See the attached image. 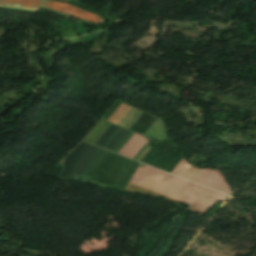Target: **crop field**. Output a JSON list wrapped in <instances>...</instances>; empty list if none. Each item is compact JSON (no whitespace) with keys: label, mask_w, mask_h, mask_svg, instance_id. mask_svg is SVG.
<instances>
[{"label":"crop field","mask_w":256,"mask_h":256,"mask_svg":"<svg viewBox=\"0 0 256 256\" xmlns=\"http://www.w3.org/2000/svg\"><path fill=\"white\" fill-rule=\"evenodd\" d=\"M130 162L131 159L82 142L60 162L64 166L60 177L83 176L92 183L111 187L120 170H127ZM137 165L132 160L127 171L121 170L112 188L124 190Z\"/></svg>","instance_id":"crop-field-1"},{"label":"crop field","mask_w":256,"mask_h":256,"mask_svg":"<svg viewBox=\"0 0 256 256\" xmlns=\"http://www.w3.org/2000/svg\"><path fill=\"white\" fill-rule=\"evenodd\" d=\"M126 190L163 197L177 204L186 202L190 204L187 209L203 216L217 200L224 202L227 197L146 165L138 167Z\"/></svg>","instance_id":"crop-field-2"},{"label":"crop field","mask_w":256,"mask_h":256,"mask_svg":"<svg viewBox=\"0 0 256 256\" xmlns=\"http://www.w3.org/2000/svg\"><path fill=\"white\" fill-rule=\"evenodd\" d=\"M155 119L156 117L143 112L132 125L130 130L143 135ZM130 133L131 131L129 130L111 124L96 141L95 145L115 152ZM147 144L139 151L134 160L137 159ZM182 157L181 153L176 149L171 141L164 138L155 143L143 156L140 162L170 173Z\"/></svg>","instance_id":"crop-field-3"},{"label":"crop field","mask_w":256,"mask_h":256,"mask_svg":"<svg viewBox=\"0 0 256 256\" xmlns=\"http://www.w3.org/2000/svg\"><path fill=\"white\" fill-rule=\"evenodd\" d=\"M0 5L32 7V8H37L38 6H41L44 8L57 10L60 12H64V13L82 18L88 22H92L96 24L103 23V19L101 17L91 12L78 9L68 4L57 3L52 0H0ZM8 6H0V7H8ZM20 7H9V8L27 9V10H35V11H39L40 9V7L38 9L20 8Z\"/></svg>","instance_id":"crop-field-4"},{"label":"crop field","mask_w":256,"mask_h":256,"mask_svg":"<svg viewBox=\"0 0 256 256\" xmlns=\"http://www.w3.org/2000/svg\"><path fill=\"white\" fill-rule=\"evenodd\" d=\"M185 179L203 184L227 195L231 192L220 172L213 169H197L188 165L184 158L172 172Z\"/></svg>","instance_id":"crop-field-5"},{"label":"crop field","mask_w":256,"mask_h":256,"mask_svg":"<svg viewBox=\"0 0 256 256\" xmlns=\"http://www.w3.org/2000/svg\"><path fill=\"white\" fill-rule=\"evenodd\" d=\"M141 113L142 111L121 102L107 122L129 129Z\"/></svg>","instance_id":"crop-field-6"},{"label":"crop field","mask_w":256,"mask_h":256,"mask_svg":"<svg viewBox=\"0 0 256 256\" xmlns=\"http://www.w3.org/2000/svg\"><path fill=\"white\" fill-rule=\"evenodd\" d=\"M148 141L147 138L135 133L131 140L125 145V147L119 152L123 156L134 158L138 151L145 145Z\"/></svg>","instance_id":"crop-field-7"},{"label":"crop field","mask_w":256,"mask_h":256,"mask_svg":"<svg viewBox=\"0 0 256 256\" xmlns=\"http://www.w3.org/2000/svg\"><path fill=\"white\" fill-rule=\"evenodd\" d=\"M120 101L116 100L113 105L104 113V115L101 117V119L106 120L108 116L113 112V110L118 106Z\"/></svg>","instance_id":"crop-field-8"},{"label":"crop field","mask_w":256,"mask_h":256,"mask_svg":"<svg viewBox=\"0 0 256 256\" xmlns=\"http://www.w3.org/2000/svg\"><path fill=\"white\" fill-rule=\"evenodd\" d=\"M66 1H69V0H66Z\"/></svg>","instance_id":"crop-field-9"}]
</instances>
